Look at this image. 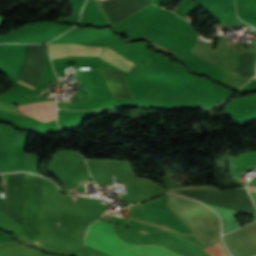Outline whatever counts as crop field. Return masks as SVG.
I'll return each mask as SVG.
<instances>
[{"label": "crop field", "instance_id": "crop-field-11", "mask_svg": "<svg viewBox=\"0 0 256 256\" xmlns=\"http://www.w3.org/2000/svg\"><path fill=\"white\" fill-rule=\"evenodd\" d=\"M19 82H21V83H23V84H25V85H27V86H29V87H31V88H33V89H36L35 87H33V86H31V85H28V84H26V83H24V82H22V81H20V80H18Z\"/></svg>", "mask_w": 256, "mask_h": 256}, {"label": "crop field", "instance_id": "crop-field-9", "mask_svg": "<svg viewBox=\"0 0 256 256\" xmlns=\"http://www.w3.org/2000/svg\"><path fill=\"white\" fill-rule=\"evenodd\" d=\"M0 110L14 114V105L0 101Z\"/></svg>", "mask_w": 256, "mask_h": 256}, {"label": "crop field", "instance_id": "crop-field-5", "mask_svg": "<svg viewBox=\"0 0 256 256\" xmlns=\"http://www.w3.org/2000/svg\"><path fill=\"white\" fill-rule=\"evenodd\" d=\"M175 193L181 194V195L189 197V198L197 199V200H199L201 202H204V203L224 207V208L231 209V210L241 212V213L251 215V216H253L254 213L256 212L255 208L239 205V204H236V203L224 201V200H221V199L205 196V195L190 192V191H178V192H175Z\"/></svg>", "mask_w": 256, "mask_h": 256}, {"label": "crop field", "instance_id": "crop-field-6", "mask_svg": "<svg viewBox=\"0 0 256 256\" xmlns=\"http://www.w3.org/2000/svg\"><path fill=\"white\" fill-rule=\"evenodd\" d=\"M22 112L46 122L55 119V102L51 100L18 107Z\"/></svg>", "mask_w": 256, "mask_h": 256}, {"label": "crop field", "instance_id": "crop-field-8", "mask_svg": "<svg viewBox=\"0 0 256 256\" xmlns=\"http://www.w3.org/2000/svg\"><path fill=\"white\" fill-rule=\"evenodd\" d=\"M204 250H206L212 256H227V254L225 253L223 248L220 246V244L205 248Z\"/></svg>", "mask_w": 256, "mask_h": 256}, {"label": "crop field", "instance_id": "crop-field-7", "mask_svg": "<svg viewBox=\"0 0 256 256\" xmlns=\"http://www.w3.org/2000/svg\"><path fill=\"white\" fill-rule=\"evenodd\" d=\"M100 58H102V59H104V60L124 69V70H127V71H129L131 69V67L135 64V63L131 62L130 60L126 59L125 57L121 56L120 54L116 53L115 51L111 50L108 47H105Z\"/></svg>", "mask_w": 256, "mask_h": 256}, {"label": "crop field", "instance_id": "crop-field-2", "mask_svg": "<svg viewBox=\"0 0 256 256\" xmlns=\"http://www.w3.org/2000/svg\"><path fill=\"white\" fill-rule=\"evenodd\" d=\"M84 249L108 256H179L159 245H133L119 240L113 226L95 221L87 230Z\"/></svg>", "mask_w": 256, "mask_h": 256}, {"label": "crop field", "instance_id": "crop-field-10", "mask_svg": "<svg viewBox=\"0 0 256 256\" xmlns=\"http://www.w3.org/2000/svg\"><path fill=\"white\" fill-rule=\"evenodd\" d=\"M248 190L256 192V187H248ZM251 195H252L254 201H256V193H251Z\"/></svg>", "mask_w": 256, "mask_h": 256}, {"label": "crop field", "instance_id": "crop-field-3", "mask_svg": "<svg viewBox=\"0 0 256 256\" xmlns=\"http://www.w3.org/2000/svg\"><path fill=\"white\" fill-rule=\"evenodd\" d=\"M127 218L175 233L185 239L198 243L192 231L174 213L138 204L133 206Z\"/></svg>", "mask_w": 256, "mask_h": 256}, {"label": "crop field", "instance_id": "crop-field-1", "mask_svg": "<svg viewBox=\"0 0 256 256\" xmlns=\"http://www.w3.org/2000/svg\"><path fill=\"white\" fill-rule=\"evenodd\" d=\"M37 186H24L25 222L20 238L37 245L42 222V178L36 176ZM61 193L43 178V219L55 222Z\"/></svg>", "mask_w": 256, "mask_h": 256}, {"label": "crop field", "instance_id": "crop-field-12", "mask_svg": "<svg viewBox=\"0 0 256 256\" xmlns=\"http://www.w3.org/2000/svg\"><path fill=\"white\" fill-rule=\"evenodd\" d=\"M254 256H256V255H254Z\"/></svg>", "mask_w": 256, "mask_h": 256}, {"label": "crop field", "instance_id": "crop-field-4", "mask_svg": "<svg viewBox=\"0 0 256 256\" xmlns=\"http://www.w3.org/2000/svg\"><path fill=\"white\" fill-rule=\"evenodd\" d=\"M51 59L70 55L99 56L103 47L75 45V44H47Z\"/></svg>", "mask_w": 256, "mask_h": 256}]
</instances>
